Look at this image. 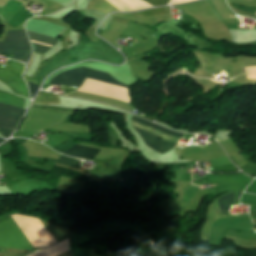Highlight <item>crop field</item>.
<instances>
[{
	"instance_id": "crop-field-1",
	"label": "crop field",
	"mask_w": 256,
	"mask_h": 256,
	"mask_svg": "<svg viewBox=\"0 0 256 256\" xmlns=\"http://www.w3.org/2000/svg\"><path fill=\"white\" fill-rule=\"evenodd\" d=\"M132 125L141 137L169 148L176 146L183 135L181 133L168 131L169 129L166 130L134 115L132 116ZM151 128L154 129V131L152 130L153 132L150 131ZM160 134L163 135V139H159Z\"/></svg>"
},
{
	"instance_id": "crop-field-2",
	"label": "crop field",
	"mask_w": 256,
	"mask_h": 256,
	"mask_svg": "<svg viewBox=\"0 0 256 256\" xmlns=\"http://www.w3.org/2000/svg\"><path fill=\"white\" fill-rule=\"evenodd\" d=\"M63 74H69V75H74V76H81V77H89L105 82H109L112 84H116L122 87H126L127 85H124L120 82H118L116 79H114L112 76L106 73L98 72L95 70H91L88 68L80 67L72 70H66L62 72ZM59 74L55 77H53L50 81V83L53 84H58V85H70V86H81L84 78L81 77H74V76H69V75H63Z\"/></svg>"
},
{
	"instance_id": "crop-field-3",
	"label": "crop field",
	"mask_w": 256,
	"mask_h": 256,
	"mask_svg": "<svg viewBox=\"0 0 256 256\" xmlns=\"http://www.w3.org/2000/svg\"><path fill=\"white\" fill-rule=\"evenodd\" d=\"M31 48L25 30L9 31L3 42H0V53L14 55L15 60L28 62Z\"/></svg>"
},
{
	"instance_id": "crop-field-4",
	"label": "crop field",
	"mask_w": 256,
	"mask_h": 256,
	"mask_svg": "<svg viewBox=\"0 0 256 256\" xmlns=\"http://www.w3.org/2000/svg\"><path fill=\"white\" fill-rule=\"evenodd\" d=\"M0 246L35 251L11 218L0 222Z\"/></svg>"
},
{
	"instance_id": "crop-field-5",
	"label": "crop field",
	"mask_w": 256,
	"mask_h": 256,
	"mask_svg": "<svg viewBox=\"0 0 256 256\" xmlns=\"http://www.w3.org/2000/svg\"><path fill=\"white\" fill-rule=\"evenodd\" d=\"M9 68H0V81L7 84L14 92L28 96L27 86L22 79L24 65L8 60Z\"/></svg>"
},
{
	"instance_id": "crop-field-6",
	"label": "crop field",
	"mask_w": 256,
	"mask_h": 256,
	"mask_svg": "<svg viewBox=\"0 0 256 256\" xmlns=\"http://www.w3.org/2000/svg\"><path fill=\"white\" fill-rule=\"evenodd\" d=\"M24 112V109L0 104V132L3 137H9Z\"/></svg>"
},
{
	"instance_id": "crop-field-7",
	"label": "crop field",
	"mask_w": 256,
	"mask_h": 256,
	"mask_svg": "<svg viewBox=\"0 0 256 256\" xmlns=\"http://www.w3.org/2000/svg\"><path fill=\"white\" fill-rule=\"evenodd\" d=\"M28 35H29L30 39L43 41V42H47V43L56 44L58 41V39H56V38H52V37H48V36H44V35H40V34H36V33H32V32H28ZM38 41H33V42L53 46L52 44L42 43V42H38ZM33 42H31V44H32L34 52L45 53L46 51H48L52 48L50 46L41 45V44H37V43H33Z\"/></svg>"
},
{
	"instance_id": "crop-field-8",
	"label": "crop field",
	"mask_w": 256,
	"mask_h": 256,
	"mask_svg": "<svg viewBox=\"0 0 256 256\" xmlns=\"http://www.w3.org/2000/svg\"><path fill=\"white\" fill-rule=\"evenodd\" d=\"M98 152V149L75 144L70 150L66 151L64 154L90 160L95 157Z\"/></svg>"
},
{
	"instance_id": "crop-field-9",
	"label": "crop field",
	"mask_w": 256,
	"mask_h": 256,
	"mask_svg": "<svg viewBox=\"0 0 256 256\" xmlns=\"http://www.w3.org/2000/svg\"><path fill=\"white\" fill-rule=\"evenodd\" d=\"M234 193L217 199L222 214L228 215V207L233 203Z\"/></svg>"
},
{
	"instance_id": "crop-field-10",
	"label": "crop field",
	"mask_w": 256,
	"mask_h": 256,
	"mask_svg": "<svg viewBox=\"0 0 256 256\" xmlns=\"http://www.w3.org/2000/svg\"><path fill=\"white\" fill-rule=\"evenodd\" d=\"M58 163H62V164H66V165H70V166H74V167H80L81 162L75 160L74 158H70V157H66L61 155V157L58 159L57 161Z\"/></svg>"
},
{
	"instance_id": "crop-field-11",
	"label": "crop field",
	"mask_w": 256,
	"mask_h": 256,
	"mask_svg": "<svg viewBox=\"0 0 256 256\" xmlns=\"http://www.w3.org/2000/svg\"><path fill=\"white\" fill-rule=\"evenodd\" d=\"M164 12H165L164 8H155V9L146 10V11H143V12H136V13H132V14H137V15H140L142 17L148 18V17H151L153 15L164 13Z\"/></svg>"
},
{
	"instance_id": "crop-field-12",
	"label": "crop field",
	"mask_w": 256,
	"mask_h": 256,
	"mask_svg": "<svg viewBox=\"0 0 256 256\" xmlns=\"http://www.w3.org/2000/svg\"><path fill=\"white\" fill-rule=\"evenodd\" d=\"M153 6L168 4L169 0H144Z\"/></svg>"
},
{
	"instance_id": "crop-field-13",
	"label": "crop field",
	"mask_w": 256,
	"mask_h": 256,
	"mask_svg": "<svg viewBox=\"0 0 256 256\" xmlns=\"http://www.w3.org/2000/svg\"><path fill=\"white\" fill-rule=\"evenodd\" d=\"M29 88H30L31 96L33 98V96L35 95V93L37 92V90L39 88V85L29 82Z\"/></svg>"
},
{
	"instance_id": "crop-field-14",
	"label": "crop field",
	"mask_w": 256,
	"mask_h": 256,
	"mask_svg": "<svg viewBox=\"0 0 256 256\" xmlns=\"http://www.w3.org/2000/svg\"><path fill=\"white\" fill-rule=\"evenodd\" d=\"M4 141V139L0 138V142Z\"/></svg>"
},
{
	"instance_id": "crop-field-15",
	"label": "crop field",
	"mask_w": 256,
	"mask_h": 256,
	"mask_svg": "<svg viewBox=\"0 0 256 256\" xmlns=\"http://www.w3.org/2000/svg\"><path fill=\"white\" fill-rule=\"evenodd\" d=\"M137 41H138V39H137ZM138 43H139V41H138Z\"/></svg>"
}]
</instances>
